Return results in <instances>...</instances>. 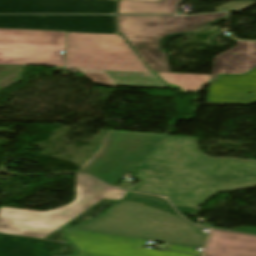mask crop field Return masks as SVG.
I'll return each instance as SVG.
<instances>
[{"label": "crop field", "instance_id": "1", "mask_svg": "<svg viewBox=\"0 0 256 256\" xmlns=\"http://www.w3.org/2000/svg\"><path fill=\"white\" fill-rule=\"evenodd\" d=\"M140 192L169 196L174 205L198 208L218 192L256 185V162L211 159L194 138L166 136L135 173Z\"/></svg>", "mask_w": 256, "mask_h": 256}, {"label": "crop field", "instance_id": "2", "mask_svg": "<svg viewBox=\"0 0 256 256\" xmlns=\"http://www.w3.org/2000/svg\"><path fill=\"white\" fill-rule=\"evenodd\" d=\"M73 227L196 247H204L208 235L179 217L171 206L126 201L90 223Z\"/></svg>", "mask_w": 256, "mask_h": 256}, {"label": "crop field", "instance_id": "3", "mask_svg": "<svg viewBox=\"0 0 256 256\" xmlns=\"http://www.w3.org/2000/svg\"><path fill=\"white\" fill-rule=\"evenodd\" d=\"M66 65L105 73L117 86L171 88L150 73L120 35L69 33Z\"/></svg>", "mask_w": 256, "mask_h": 256}, {"label": "crop field", "instance_id": "4", "mask_svg": "<svg viewBox=\"0 0 256 256\" xmlns=\"http://www.w3.org/2000/svg\"><path fill=\"white\" fill-rule=\"evenodd\" d=\"M226 18L227 13L188 17L118 16V25L151 70L170 72L165 54L168 39L195 33Z\"/></svg>", "mask_w": 256, "mask_h": 256}, {"label": "crop field", "instance_id": "5", "mask_svg": "<svg viewBox=\"0 0 256 256\" xmlns=\"http://www.w3.org/2000/svg\"><path fill=\"white\" fill-rule=\"evenodd\" d=\"M126 193L76 175V198L66 206L47 212L1 207L0 233L42 239L101 199L120 200Z\"/></svg>", "mask_w": 256, "mask_h": 256}, {"label": "crop field", "instance_id": "6", "mask_svg": "<svg viewBox=\"0 0 256 256\" xmlns=\"http://www.w3.org/2000/svg\"><path fill=\"white\" fill-rule=\"evenodd\" d=\"M163 135L108 131L99 149L79 169L115 186L134 171Z\"/></svg>", "mask_w": 256, "mask_h": 256}, {"label": "crop field", "instance_id": "7", "mask_svg": "<svg viewBox=\"0 0 256 256\" xmlns=\"http://www.w3.org/2000/svg\"><path fill=\"white\" fill-rule=\"evenodd\" d=\"M65 33L0 30V64L64 67Z\"/></svg>", "mask_w": 256, "mask_h": 256}, {"label": "crop field", "instance_id": "8", "mask_svg": "<svg viewBox=\"0 0 256 256\" xmlns=\"http://www.w3.org/2000/svg\"><path fill=\"white\" fill-rule=\"evenodd\" d=\"M64 236L78 249L74 256H198L142 248L146 239L66 228Z\"/></svg>", "mask_w": 256, "mask_h": 256}, {"label": "crop field", "instance_id": "9", "mask_svg": "<svg viewBox=\"0 0 256 256\" xmlns=\"http://www.w3.org/2000/svg\"><path fill=\"white\" fill-rule=\"evenodd\" d=\"M0 28L118 34L114 16L0 15Z\"/></svg>", "mask_w": 256, "mask_h": 256}, {"label": "crop field", "instance_id": "10", "mask_svg": "<svg viewBox=\"0 0 256 256\" xmlns=\"http://www.w3.org/2000/svg\"><path fill=\"white\" fill-rule=\"evenodd\" d=\"M117 0H0V13H115Z\"/></svg>", "mask_w": 256, "mask_h": 256}, {"label": "crop field", "instance_id": "11", "mask_svg": "<svg viewBox=\"0 0 256 256\" xmlns=\"http://www.w3.org/2000/svg\"><path fill=\"white\" fill-rule=\"evenodd\" d=\"M248 92H253L248 95ZM256 102V69L246 75L219 76L210 84L205 104H250Z\"/></svg>", "mask_w": 256, "mask_h": 256}, {"label": "crop field", "instance_id": "12", "mask_svg": "<svg viewBox=\"0 0 256 256\" xmlns=\"http://www.w3.org/2000/svg\"><path fill=\"white\" fill-rule=\"evenodd\" d=\"M75 253L70 245L0 234V256H62Z\"/></svg>", "mask_w": 256, "mask_h": 256}, {"label": "crop field", "instance_id": "13", "mask_svg": "<svg viewBox=\"0 0 256 256\" xmlns=\"http://www.w3.org/2000/svg\"><path fill=\"white\" fill-rule=\"evenodd\" d=\"M255 66L256 42L237 41L236 47L215 57L210 82L220 73L244 74Z\"/></svg>", "mask_w": 256, "mask_h": 256}, {"label": "crop field", "instance_id": "14", "mask_svg": "<svg viewBox=\"0 0 256 256\" xmlns=\"http://www.w3.org/2000/svg\"><path fill=\"white\" fill-rule=\"evenodd\" d=\"M204 256H256V237L212 229Z\"/></svg>", "mask_w": 256, "mask_h": 256}, {"label": "crop field", "instance_id": "15", "mask_svg": "<svg viewBox=\"0 0 256 256\" xmlns=\"http://www.w3.org/2000/svg\"><path fill=\"white\" fill-rule=\"evenodd\" d=\"M180 0H160V2H144L119 0L117 13L130 14H175Z\"/></svg>", "mask_w": 256, "mask_h": 256}, {"label": "crop field", "instance_id": "16", "mask_svg": "<svg viewBox=\"0 0 256 256\" xmlns=\"http://www.w3.org/2000/svg\"><path fill=\"white\" fill-rule=\"evenodd\" d=\"M157 73V72H156ZM165 82L179 87L182 91L196 92L204 83H209L210 75L157 73ZM205 85V84H204Z\"/></svg>", "mask_w": 256, "mask_h": 256}, {"label": "crop field", "instance_id": "17", "mask_svg": "<svg viewBox=\"0 0 256 256\" xmlns=\"http://www.w3.org/2000/svg\"><path fill=\"white\" fill-rule=\"evenodd\" d=\"M114 202L116 201L103 199L94 206H92L91 208H89L88 210H86L85 212L81 213L80 215L66 223L65 226L75 225L87 221L90 218L98 215L104 208H106L107 206L111 205Z\"/></svg>", "mask_w": 256, "mask_h": 256}, {"label": "crop field", "instance_id": "18", "mask_svg": "<svg viewBox=\"0 0 256 256\" xmlns=\"http://www.w3.org/2000/svg\"><path fill=\"white\" fill-rule=\"evenodd\" d=\"M124 200L168 205L167 202L160 197L144 195V194H132L127 198H125Z\"/></svg>", "mask_w": 256, "mask_h": 256}, {"label": "crop field", "instance_id": "19", "mask_svg": "<svg viewBox=\"0 0 256 256\" xmlns=\"http://www.w3.org/2000/svg\"><path fill=\"white\" fill-rule=\"evenodd\" d=\"M254 4L251 1H233L226 4H222L218 7L213 8L216 11H226V10H239L249 5Z\"/></svg>", "mask_w": 256, "mask_h": 256}, {"label": "crop field", "instance_id": "20", "mask_svg": "<svg viewBox=\"0 0 256 256\" xmlns=\"http://www.w3.org/2000/svg\"><path fill=\"white\" fill-rule=\"evenodd\" d=\"M98 84L114 86L105 74L84 73Z\"/></svg>", "mask_w": 256, "mask_h": 256}, {"label": "crop field", "instance_id": "21", "mask_svg": "<svg viewBox=\"0 0 256 256\" xmlns=\"http://www.w3.org/2000/svg\"><path fill=\"white\" fill-rule=\"evenodd\" d=\"M165 248L179 250V251H185V252H191V253H197V254L202 253V252H195L197 250L196 247L184 246V245L173 244V243H167Z\"/></svg>", "mask_w": 256, "mask_h": 256}, {"label": "crop field", "instance_id": "22", "mask_svg": "<svg viewBox=\"0 0 256 256\" xmlns=\"http://www.w3.org/2000/svg\"><path fill=\"white\" fill-rule=\"evenodd\" d=\"M64 227V226H62ZM60 227L59 229H57L56 231H54L53 233H51L50 235H48L47 237H45V240H50V241H56V242H61V243H66L65 240L61 237L59 230L62 228ZM67 244V243H66Z\"/></svg>", "mask_w": 256, "mask_h": 256}, {"label": "crop field", "instance_id": "23", "mask_svg": "<svg viewBox=\"0 0 256 256\" xmlns=\"http://www.w3.org/2000/svg\"><path fill=\"white\" fill-rule=\"evenodd\" d=\"M177 208V210L181 213V214H187V215H190V216H198L199 214V210L200 209H194V208H186V207H178V206H175Z\"/></svg>", "mask_w": 256, "mask_h": 256}, {"label": "crop field", "instance_id": "24", "mask_svg": "<svg viewBox=\"0 0 256 256\" xmlns=\"http://www.w3.org/2000/svg\"><path fill=\"white\" fill-rule=\"evenodd\" d=\"M232 231L256 234V229L247 228V227L235 228V229H232Z\"/></svg>", "mask_w": 256, "mask_h": 256}, {"label": "crop field", "instance_id": "25", "mask_svg": "<svg viewBox=\"0 0 256 256\" xmlns=\"http://www.w3.org/2000/svg\"><path fill=\"white\" fill-rule=\"evenodd\" d=\"M144 1H152V2H157L159 0H144Z\"/></svg>", "mask_w": 256, "mask_h": 256}]
</instances>
